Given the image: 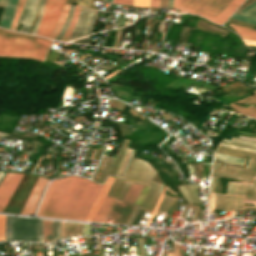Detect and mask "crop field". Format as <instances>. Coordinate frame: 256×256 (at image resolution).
Listing matches in <instances>:
<instances>
[{"label":"crop field","instance_id":"8a807250","mask_svg":"<svg viewBox=\"0 0 256 256\" xmlns=\"http://www.w3.org/2000/svg\"><path fill=\"white\" fill-rule=\"evenodd\" d=\"M100 187L82 177L53 180L37 216L84 220Z\"/></svg>","mask_w":256,"mask_h":256},{"label":"crop field","instance_id":"ac0d7876","mask_svg":"<svg viewBox=\"0 0 256 256\" xmlns=\"http://www.w3.org/2000/svg\"><path fill=\"white\" fill-rule=\"evenodd\" d=\"M51 40L0 29V55L25 56L43 60Z\"/></svg>","mask_w":256,"mask_h":256},{"label":"crop field","instance_id":"34b2d1b8","mask_svg":"<svg viewBox=\"0 0 256 256\" xmlns=\"http://www.w3.org/2000/svg\"><path fill=\"white\" fill-rule=\"evenodd\" d=\"M243 0H174L173 7L222 24Z\"/></svg>","mask_w":256,"mask_h":256},{"label":"crop field","instance_id":"412701ff","mask_svg":"<svg viewBox=\"0 0 256 256\" xmlns=\"http://www.w3.org/2000/svg\"><path fill=\"white\" fill-rule=\"evenodd\" d=\"M42 223L43 220L6 216L4 240L43 242Z\"/></svg>","mask_w":256,"mask_h":256},{"label":"crop field","instance_id":"f4fd0767","mask_svg":"<svg viewBox=\"0 0 256 256\" xmlns=\"http://www.w3.org/2000/svg\"><path fill=\"white\" fill-rule=\"evenodd\" d=\"M65 0H47L37 35L49 38L61 13Z\"/></svg>","mask_w":256,"mask_h":256},{"label":"crop field","instance_id":"dd49c442","mask_svg":"<svg viewBox=\"0 0 256 256\" xmlns=\"http://www.w3.org/2000/svg\"><path fill=\"white\" fill-rule=\"evenodd\" d=\"M142 185L132 183L128 193L126 194L122 203L116 202L113 204L111 210L106 216L104 223L106 222L108 217L116 219L114 223L122 224L124 218L129 212L137 194L142 189ZM109 219V218H108Z\"/></svg>","mask_w":256,"mask_h":256},{"label":"crop field","instance_id":"e52e79f7","mask_svg":"<svg viewBox=\"0 0 256 256\" xmlns=\"http://www.w3.org/2000/svg\"><path fill=\"white\" fill-rule=\"evenodd\" d=\"M22 176L23 174L6 173L0 184V212H2L4 206L10 199Z\"/></svg>","mask_w":256,"mask_h":256},{"label":"crop field","instance_id":"d8731c3e","mask_svg":"<svg viewBox=\"0 0 256 256\" xmlns=\"http://www.w3.org/2000/svg\"><path fill=\"white\" fill-rule=\"evenodd\" d=\"M48 182V179L38 177L22 211L20 214H31L33 215L35 208L38 204L40 196Z\"/></svg>","mask_w":256,"mask_h":256},{"label":"crop field","instance_id":"5a996713","mask_svg":"<svg viewBox=\"0 0 256 256\" xmlns=\"http://www.w3.org/2000/svg\"><path fill=\"white\" fill-rule=\"evenodd\" d=\"M139 163H140V160L132 159V161H131V163H130V165H129V169L136 171V169H137ZM141 164H142V161H141L139 167L141 166ZM144 165H145V163L143 162V164H142V166L140 167V169H139V167H138L139 171H138V169H137V171H138V172L136 171L137 174H136V172H133V171H129V170H128V171H127V174H126V176H125L124 179H125V180H128V181H132L133 177H134L135 174H136V176H135L134 179H133V182H136V180H137V178H138L140 172L142 171ZM147 165H148V164L146 163V165H145V167H144L142 173H143L144 170L146 169ZM150 170H151V167L148 165V167H147V169L145 170L144 174H143V175H142V173L140 174L139 178L141 177V175H142V177L140 178V180H139V178H138L139 183H142V184H143V182H144V180L146 179V177H147L148 173L150 172ZM154 171H155V170L152 168V170H151V172L149 173V175H148L147 179L145 180L144 184L148 185V183H149V181H150V179H151V177H152ZM138 180H137V182H138Z\"/></svg>","mask_w":256,"mask_h":256},{"label":"crop field","instance_id":"3316defc","mask_svg":"<svg viewBox=\"0 0 256 256\" xmlns=\"http://www.w3.org/2000/svg\"><path fill=\"white\" fill-rule=\"evenodd\" d=\"M236 185H237V182H228L227 194L235 195ZM246 185L247 183H243V186H242V183L238 182L236 195H240L241 186H242L241 195L244 196ZM233 199H234V196L228 195L226 211H232ZM243 203H244V197L235 196L233 209L243 210Z\"/></svg>","mask_w":256,"mask_h":256},{"label":"crop field","instance_id":"28ad6ade","mask_svg":"<svg viewBox=\"0 0 256 256\" xmlns=\"http://www.w3.org/2000/svg\"><path fill=\"white\" fill-rule=\"evenodd\" d=\"M113 179L114 178H112V177H108L106 183L102 186L101 190L99 191V193H98L92 207L90 208L85 220L91 221L95 211L97 210V208L100 205L101 201L103 200L106 192L108 191Z\"/></svg>","mask_w":256,"mask_h":256},{"label":"crop field","instance_id":"d1516ede","mask_svg":"<svg viewBox=\"0 0 256 256\" xmlns=\"http://www.w3.org/2000/svg\"><path fill=\"white\" fill-rule=\"evenodd\" d=\"M17 3H18V0H7L6 6L3 12V16L0 22L1 26L10 28Z\"/></svg>","mask_w":256,"mask_h":256},{"label":"crop field","instance_id":"22f410ed","mask_svg":"<svg viewBox=\"0 0 256 256\" xmlns=\"http://www.w3.org/2000/svg\"><path fill=\"white\" fill-rule=\"evenodd\" d=\"M114 200H115L114 198L105 197L104 201L102 202V204L96 211L92 221L103 222V220H104L107 212L109 211Z\"/></svg>","mask_w":256,"mask_h":256},{"label":"crop field","instance_id":"cbeb9de0","mask_svg":"<svg viewBox=\"0 0 256 256\" xmlns=\"http://www.w3.org/2000/svg\"><path fill=\"white\" fill-rule=\"evenodd\" d=\"M224 148H225V147H224ZM224 148L218 147L217 149H218V150H222V151H226V152H230V153H234V154H239V155H243V156H249V157L256 158V156H252V155H256V154H252V153L240 151V152L252 154V155H248V154H243V153H239V152L232 151V150H234V149L228 150V149H230V148H228V149H224ZM218 150H216L217 153L227 154V155L236 156V157H241V158H245V159H246V157H243V156L234 155V154H230V153H226V152H222V151H218ZM236 151H239V150H236ZM217 153H215L214 155L220 156V157H225V158L232 159V160H236V161H242V162H245V161H246V160H244V159L235 158V157H230V156L221 155V154H217Z\"/></svg>","mask_w":256,"mask_h":256},{"label":"crop field","instance_id":"5142ce71","mask_svg":"<svg viewBox=\"0 0 256 256\" xmlns=\"http://www.w3.org/2000/svg\"><path fill=\"white\" fill-rule=\"evenodd\" d=\"M185 187H186V189H187V191H188V193H189V195H190V197L192 198V200H193L194 203H196L195 198H196V200H197L198 203H202L201 200H200V198L198 197L196 185H189V187H190V189L192 190V192H193L195 198H194V196H193L191 190L189 189L188 185H185ZM185 187H184V186H180L179 189H180L181 193L183 194L184 198L186 199V201H187L188 203H192V201H191V199H190V197H189V195H188V193H187Z\"/></svg>","mask_w":256,"mask_h":256},{"label":"crop field","instance_id":"d9b57169","mask_svg":"<svg viewBox=\"0 0 256 256\" xmlns=\"http://www.w3.org/2000/svg\"><path fill=\"white\" fill-rule=\"evenodd\" d=\"M69 6L70 5H64V8L62 10V13L59 17V20L50 36V39H55V37L57 36V34L60 32L61 28H62V25L67 17V13H68V10H69Z\"/></svg>","mask_w":256,"mask_h":256},{"label":"crop field","instance_id":"733c2abd","mask_svg":"<svg viewBox=\"0 0 256 256\" xmlns=\"http://www.w3.org/2000/svg\"><path fill=\"white\" fill-rule=\"evenodd\" d=\"M231 26L236 31V33L241 36V38L256 41V31L255 30H251V29H247V28H243V27H239V26H235V25H231Z\"/></svg>","mask_w":256,"mask_h":256},{"label":"crop field","instance_id":"4a817a6b","mask_svg":"<svg viewBox=\"0 0 256 256\" xmlns=\"http://www.w3.org/2000/svg\"><path fill=\"white\" fill-rule=\"evenodd\" d=\"M80 8L81 7H78V6L75 7V11H74V14H73L71 24L68 27L64 36L61 38L62 41H67L69 39L71 33L73 32V30L75 28V25H76V22H77V19H78V16H79Z\"/></svg>","mask_w":256,"mask_h":256},{"label":"crop field","instance_id":"bc2a9ffb","mask_svg":"<svg viewBox=\"0 0 256 256\" xmlns=\"http://www.w3.org/2000/svg\"><path fill=\"white\" fill-rule=\"evenodd\" d=\"M127 143H128V140L124 139V141H123V143H122V145H121V147H120V149H119V151H118V153H117V155H116V157L113 161L112 167H111V169L108 173L109 175H114V173L117 169V165H118V163H119V161H120V159H121V157H122V155L125 151Z\"/></svg>","mask_w":256,"mask_h":256},{"label":"crop field","instance_id":"214f88e0","mask_svg":"<svg viewBox=\"0 0 256 256\" xmlns=\"http://www.w3.org/2000/svg\"><path fill=\"white\" fill-rule=\"evenodd\" d=\"M223 167H225V168H230V169H235V170H240V171L243 170L242 168L231 167V166H225V165H223ZM225 168H223L222 170H227V171H231V172H235V173H239V174H243V175H247V176L256 178L255 176H252V175H249V174H245V173H242V172H239V171L230 170V169H225ZM212 171L221 172V173H227V174H233V175H239V174H235V173H231V172H227V171H219V170H214V169H212ZM243 171H244V172H247V173H250V174H253V175H256V172H254V171L245 170V169H244ZM243 175H239V176H243ZM244 177H246V176H244ZM250 177H249V178H250ZM254 178H253V179H254Z\"/></svg>","mask_w":256,"mask_h":256},{"label":"crop field","instance_id":"92a150f3","mask_svg":"<svg viewBox=\"0 0 256 256\" xmlns=\"http://www.w3.org/2000/svg\"><path fill=\"white\" fill-rule=\"evenodd\" d=\"M43 240L49 242L53 240L52 236V221L44 220L43 223Z\"/></svg>","mask_w":256,"mask_h":256},{"label":"crop field","instance_id":"dafd665d","mask_svg":"<svg viewBox=\"0 0 256 256\" xmlns=\"http://www.w3.org/2000/svg\"><path fill=\"white\" fill-rule=\"evenodd\" d=\"M149 186H150V188L147 191V193H146V195H145V197H144V199H143V201L140 205V208H142V209L146 208V206H147V204H148V202H149V200H150V198H151V196H152V194H153V192H154V190L157 186V183H154V182L151 181Z\"/></svg>","mask_w":256,"mask_h":256},{"label":"crop field","instance_id":"00972430","mask_svg":"<svg viewBox=\"0 0 256 256\" xmlns=\"http://www.w3.org/2000/svg\"><path fill=\"white\" fill-rule=\"evenodd\" d=\"M227 195L216 194L215 209L225 210Z\"/></svg>","mask_w":256,"mask_h":256},{"label":"crop field","instance_id":"a9b5d70f","mask_svg":"<svg viewBox=\"0 0 256 256\" xmlns=\"http://www.w3.org/2000/svg\"><path fill=\"white\" fill-rule=\"evenodd\" d=\"M24 2H25V0H19V4H18L17 10H16V14H15V17H14V20H13L12 27H11L12 30H15V28L18 24L20 14H21V11H22L23 6H24Z\"/></svg>","mask_w":256,"mask_h":256},{"label":"crop field","instance_id":"4177f3b9","mask_svg":"<svg viewBox=\"0 0 256 256\" xmlns=\"http://www.w3.org/2000/svg\"><path fill=\"white\" fill-rule=\"evenodd\" d=\"M162 189H163V187L159 185L155 194H154V196H153V198H152V200H151V202H150V204H149V206H148V208H147V210L152 211V209H153V207H154Z\"/></svg>","mask_w":256,"mask_h":256},{"label":"crop field","instance_id":"730fd06b","mask_svg":"<svg viewBox=\"0 0 256 256\" xmlns=\"http://www.w3.org/2000/svg\"><path fill=\"white\" fill-rule=\"evenodd\" d=\"M116 181H117V179L115 178V180H114V182H113V184H112V186H111V188H110V190H109L107 196L110 195V193H111V191H112V189H113V187H114ZM120 181H121V180H118V182H117V184H116V186H115V188H114V190H113V192H112V194H111V197H112L113 193L115 192V190L117 189V187H118ZM123 184H124V182L122 181L121 184L119 185L118 189L116 190L115 194L113 195L114 198H116V196H117V194L119 193L120 189L122 188Z\"/></svg>","mask_w":256,"mask_h":256},{"label":"crop field","instance_id":"eef30255","mask_svg":"<svg viewBox=\"0 0 256 256\" xmlns=\"http://www.w3.org/2000/svg\"><path fill=\"white\" fill-rule=\"evenodd\" d=\"M166 198H167V196L164 195V197H163V199H162V201H161V203H160V205H159L157 211H161V208H162V206H163V204H164ZM171 200H172L171 198H169V197L167 198V200H166V202H165V204H164V206H163L161 212H163V213L166 212V210H167V208H168V206H169Z\"/></svg>","mask_w":256,"mask_h":256},{"label":"crop field","instance_id":"ae1a2a85","mask_svg":"<svg viewBox=\"0 0 256 256\" xmlns=\"http://www.w3.org/2000/svg\"><path fill=\"white\" fill-rule=\"evenodd\" d=\"M137 210H138V207L132 206V208H131V210H130V212H129V214H128L125 222H124V224L130 225V223H131L133 217L135 216Z\"/></svg>","mask_w":256,"mask_h":256},{"label":"crop field","instance_id":"d3111659","mask_svg":"<svg viewBox=\"0 0 256 256\" xmlns=\"http://www.w3.org/2000/svg\"><path fill=\"white\" fill-rule=\"evenodd\" d=\"M231 18L238 19V20H241V21H244V22H247V23H251V24L256 25V20H255V19H252V18H248V17L236 15V14H233V15L231 16Z\"/></svg>","mask_w":256,"mask_h":256},{"label":"crop field","instance_id":"750c4746","mask_svg":"<svg viewBox=\"0 0 256 256\" xmlns=\"http://www.w3.org/2000/svg\"><path fill=\"white\" fill-rule=\"evenodd\" d=\"M59 224H60V222L53 221V236H54V240L60 238Z\"/></svg>","mask_w":256,"mask_h":256},{"label":"crop field","instance_id":"bd1437ed","mask_svg":"<svg viewBox=\"0 0 256 256\" xmlns=\"http://www.w3.org/2000/svg\"><path fill=\"white\" fill-rule=\"evenodd\" d=\"M150 0H134L133 6L149 7Z\"/></svg>","mask_w":256,"mask_h":256},{"label":"crop field","instance_id":"1d83c4d3","mask_svg":"<svg viewBox=\"0 0 256 256\" xmlns=\"http://www.w3.org/2000/svg\"><path fill=\"white\" fill-rule=\"evenodd\" d=\"M233 140H235V139H233ZM233 140L229 141V140L223 139L224 142L235 143V144H240V145H244V146L256 148V145H255L256 143H255V144H250V143H252V142H250V143H244V142H247V141L239 142V141H241V140H239V141H233Z\"/></svg>","mask_w":256,"mask_h":256},{"label":"crop field","instance_id":"120bbe31","mask_svg":"<svg viewBox=\"0 0 256 256\" xmlns=\"http://www.w3.org/2000/svg\"><path fill=\"white\" fill-rule=\"evenodd\" d=\"M114 159V158H113ZM113 159H112V161H113ZM112 161H111V163H110V165H109V167H108V169L107 170H105V169H103L102 170V172H101V174H100V176H99V179H98V183H103L104 182V180H105V178H106V175H107V173H108V171H109V168H110V166H111V164H112Z\"/></svg>","mask_w":256,"mask_h":256},{"label":"crop field","instance_id":"d32e631a","mask_svg":"<svg viewBox=\"0 0 256 256\" xmlns=\"http://www.w3.org/2000/svg\"><path fill=\"white\" fill-rule=\"evenodd\" d=\"M127 184H128V183H127V182H125V184H124V186H123V188H122V190H121V192H120V194H119L118 198L116 199V201H118V200H119V198H120L121 194L123 193V191H124L125 187L127 186ZM130 185H131V183H129V185L126 187V189H125L124 193L122 194V196H121V198H120V200H119L120 202H122V200H123V198H124V196H125L126 192L128 191V189H129Z\"/></svg>","mask_w":256,"mask_h":256},{"label":"crop field","instance_id":"5866460e","mask_svg":"<svg viewBox=\"0 0 256 256\" xmlns=\"http://www.w3.org/2000/svg\"><path fill=\"white\" fill-rule=\"evenodd\" d=\"M132 154H133V150L131 151V153L128 155V157H127V160H126V163H125V166H124V168H123V171H122V174H121V178H124V175H125V173H126V170H127V167H128V164H129V162H130V160H131V156H132Z\"/></svg>","mask_w":256,"mask_h":256},{"label":"crop field","instance_id":"028f5c9d","mask_svg":"<svg viewBox=\"0 0 256 256\" xmlns=\"http://www.w3.org/2000/svg\"><path fill=\"white\" fill-rule=\"evenodd\" d=\"M4 218L5 216H0V241L3 240Z\"/></svg>","mask_w":256,"mask_h":256},{"label":"crop field","instance_id":"e1f06a70","mask_svg":"<svg viewBox=\"0 0 256 256\" xmlns=\"http://www.w3.org/2000/svg\"><path fill=\"white\" fill-rule=\"evenodd\" d=\"M249 161L256 163V160H254V159H249ZM245 168L256 171V164L249 162Z\"/></svg>","mask_w":256,"mask_h":256},{"label":"crop field","instance_id":"0bd39190","mask_svg":"<svg viewBox=\"0 0 256 256\" xmlns=\"http://www.w3.org/2000/svg\"><path fill=\"white\" fill-rule=\"evenodd\" d=\"M138 242H139V253H140V256H144L143 238H138Z\"/></svg>","mask_w":256,"mask_h":256},{"label":"crop field","instance_id":"b80d0937","mask_svg":"<svg viewBox=\"0 0 256 256\" xmlns=\"http://www.w3.org/2000/svg\"><path fill=\"white\" fill-rule=\"evenodd\" d=\"M133 0H114V3H119V4H128L132 6Z\"/></svg>","mask_w":256,"mask_h":256},{"label":"crop field","instance_id":"c035e120","mask_svg":"<svg viewBox=\"0 0 256 256\" xmlns=\"http://www.w3.org/2000/svg\"><path fill=\"white\" fill-rule=\"evenodd\" d=\"M254 188V184L248 183L245 195H250Z\"/></svg>","mask_w":256,"mask_h":256},{"label":"crop field","instance_id":"c21b1889","mask_svg":"<svg viewBox=\"0 0 256 256\" xmlns=\"http://www.w3.org/2000/svg\"><path fill=\"white\" fill-rule=\"evenodd\" d=\"M214 158L224 160L225 162H228V163H234V164H240V165L244 164V163H241V162H235V161L227 160V159L216 157V156Z\"/></svg>","mask_w":256,"mask_h":256},{"label":"crop field","instance_id":"03da06ac","mask_svg":"<svg viewBox=\"0 0 256 256\" xmlns=\"http://www.w3.org/2000/svg\"><path fill=\"white\" fill-rule=\"evenodd\" d=\"M256 5V1H254L253 3H251L249 6L243 8L240 10V12L244 13L245 11H247L248 9H250L251 7Z\"/></svg>","mask_w":256,"mask_h":256},{"label":"crop field","instance_id":"b54c1fbb","mask_svg":"<svg viewBox=\"0 0 256 256\" xmlns=\"http://www.w3.org/2000/svg\"><path fill=\"white\" fill-rule=\"evenodd\" d=\"M212 176H223V175H216V174H212ZM223 177H227V178H233V177H229V176H223ZM233 179H235V180H239V181H243V182H251V183H253L252 181H247V180H243V179H239V178H233Z\"/></svg>","mask_w":256,"mask_h":256},{"label":"crop field","instance_id":"5d738f31","mask_svg":"<svg viewBox=\"0 0 256 256\" xmlns=\"http://www.w3.org/2000/svg\"><path fill=\"white\" fill-rule=\"evenodd\" d=\"M127 151H128V148L126 149V151H125V153H124V155H123V158H122V160H121V163H120V165H119V168H118V170H117L115 176H117V174H118V172H119V169H120V167H121V165H122L123 159H124V157H125ZM130 151H131V150H130ZM124 163H125V162H124ZM122 168H123V167H122ZM121 171H122V169H121ZM121 171H120V173H121ZM120 173H119L118 176H120Z\"/></svg>","mask_w":256,"mask_h":256},{"label":"crop field","instance_id":"d23c7cc5","mask_svg":"<svg viewBox=\"0 0 256 256\" xmlns=\"http://www.w3.org/2000/svg\"><path fill=\"white\" fill-rule=\"evenodd\" d=\"M222 164L218 162H213L212 168L221 170Z\"/></svg>","mask_w":256,"mask_h":256},{"label":"crop field","instance_id":"425ffa30","mask_svg":"<svg viewBox=\"0 0 256 256\" xmlns=\"http://www.w3.org/2000/svg\"><path fill=\"white\" fill-rule=\"evenodd\" d=\"M159 0H151L150 7H158Z\"/></svg>","mask_w":256,"mask_h":256},{"label":"crop field","instance_id":"25e5ab78","mask_svg":"<svg viewBox=\"0 0 256 256\" xmlns=\"http://www.w3.org/2000/svg\"><path fill=\"white\" fill-rule=\"evenodd\" d=\"M215 177H212L210 190L214 191Z\"/></svg>","mask_w":256,"mask_h":256},{"label":"crop field","instance_id":"73cf0c24","mask_svg":"<svg viewBox=\"0 0 256 256\" xmlns=\"http://www.w3.org/2000/svg\"><path fill=\"white\" fill-rule=\"evenodd\" d=\"M243 40H244V39H243ZM244 42H245L246 44L256 45V42H255V41L244 40Z\"/></svg>","mask_w":256,"mask_h":256},{"label":"crop field","instance_id":"89e229c0","mask_svg":"<svg viewBox=\"0 0 256 256\" xmlns=\"http://www.w3.org/2000/svg\"><path fill=\"white\" fill-rule=\"evenodd\" d=\"M219 145H220V146H225V147L234 148V147L227 146V145H222V144H219ZM234 149H238V148H234ZM239 150H243V149H239ZM244 151H248V150H244ZM249 152H253V151H249ZM253 153H256V152H253Z\"/></svg>","mask_w":256,"mask_h":256},{"label":"crop field","instance_id":"1f2cbd36","mask_svg":"<svg viewBox=\"0 0 256 256\" xmlns=\"http://www.w3.org/2000/svg\"><path fill=\"white\" fill-rule=\"evenodd\" d=\"M196 211H197V206L195 205V208H194V216H193V221H195V219H196Z\"/></svg>","mask_w":256,"mask_h":256},{"label":"crop field","instance_id":"dbb93151","mask_svg":"<svg viewBox=\"0 0 256 256\" xmlns=\"http://www.w3.org/2000/svg\"><path fill=\"white\" fill-rule=\"evenodd\" d=\"M172 4H173V0H168L167 7H172Z\"/></svg>","mask_w":256,"mask_h":256},{"label":"crop field","instance_id":"0fb4a251","mask_svg":"<svg viewBox=\"0 0 256 256\" xmlns=\"http://www.w3.org/2000/svg\"><path fill=\"white\" fill-rule=\"evenodd\" d=\"M246 200L256 201V197H246Z\"/></svg>","mask_w":256,"mask_h":256},{"label":"crop field","instance_id":"1d79db26","mask_svg":"<svg viewBox=\"0 0 256 256\" xmlns=\"http://www.w3.org/2000/svg\"><path fill=\"white\" fill-rule=\"evenodd\" d=\"M214 161H219V160H215L214 159ZM220 162H222V161H220ZM225 165H231V166H237V167H243V166H240V165H234V164H228V163H224Z\"/></svg>","mask_w":256,"mask_h":256},{"label":"crop field","instance_id":"9d1cf04e","mask_svg":"<svg viewBox=\"0 0 256 256\" xmlns=\"http://www.w3.org/2000/svg\"><path fill=\"white\" fill-rule=\"evenodd\" d=\"M239 138H244V139H249V140H253V141H256V138H247V137H241L238 135Z\"/></svg>","mask_w":256,"mask_h":256},{"label":"crop field","instance_id":"447ae74e","mask_svg":"<svg viewBox=\"0 0 256 256\" xmlns=\"http://www.w3.org/2000/svg\"><path fill=\"white\" fill-rule=\"evenodd\" d=\"M187 207H188V206H186V205L184 206V209H183V212H182V215H181V216H184V215H185V212H186V210H187Z\"/></svg>","mask_w":256,"mask_h":256},{"label":"crop field","instance_id":"0765c3eb","mask_svg":"<svg viewBox=\"0 0 256 256\" xmlns=\"http://www.w3.org/2000/svg\"><path fill=\"white\" fill-rule=\"evenodd\" d=\"M228 144V143H227ZM231 145H234V144H231ZM236 146H240V145H236ZM235 146V147H236ZM241 147H244V146H241ZM241 147H239V148H241ZM246 148H248V147H246ZM243 149H245V148H243ZM250 149H252V148H250ZM250 149H248V150H250ZM256 150V149H255ZM255 150H253V151H255Z\"/></svg>","mask_w":256,"mask_h":256},{"label":"crop field","instance_id":"db79e9e6","mask_svg":"<svg viewBox=\"0 0 256 256\" xmlns=\"http://www.w3.org/2000/svg\"><path fill=\"white\" fill-rule=\"evenodd\" d=\"M244 208H256L254 206H245Z\"/></svg>","mask_w":256,"mask_h":256},{"label":"crop field","instance_id":"7b73153f","mask_svg":"<svg viewBox=\"0 0 256 256\" xmlns=\"http://www.w3.org/2000/svg\"><path fill=\"white\" fill-rule=\"evenodd\" d=\"M252 196H256V188H255V191H254V193H253V195Z\"/></svg>","mask_w":256,"mask_h":256},{"label":"crop field","instance_id":"78b8030e","mask_svg":"<svg viewBox=\"0 0 256 256\" xmlns=\"http://www.w3.org/2000/svg\"><path fill=\"white\" fill-rule=\"evenodd\" d=\"M244 210H250V211H255L256 209H244Z\"/></svg>","mask_w":256,"mask_h":256},{"label":"crop field","instance_id":"0f1d7ab4","mask_svg":"<svg viewBox=\"0 0 256 256\" xmlns=\"http://www.w3.org/2000/svg\"><path fill=\"white\" fill-rule=\"evenodd\" d=\"M106 2H108V3H112V0H106Z\"/></svg>","mask_w":256,"mask_h":256},{"label":"crop field","instance_id":"e1d0b9f6","mask_svg":"<svg viewBox=\"0 0 256 256\" xmlns=\"http://www.w3.org/2000/svg\"><path fill=\"white\" fill-rule=\"evenodd\" d=\"M233 138H235V137H233ZM235 139H238V138H235ZM242 140H244V139H242ZM247 141H249V140H247Z\"/></svg>","mask_w":256,"mask_h":256},{"label":"crop field","instance_id":"ae633e8c","mask_svg":"<svg viewBox=\"0 0 256 256\" xmlns=\"http://www.w3.org/2000/svg\"><path fill=\"white\" fill-rule=\"evenodd\" d=\"M101 1H105V0H101Z\"/></svg>","mask_w":256,"mask_h":256},{"label":"crop field","instance_id":"d14b1444","mask_svg":"<svg viewBox=\"0 0 256 256\" xmlns=\"http://www.w3.org/2000/svg\"><path fill=\"white\" fill-rule=\"evenodd\" d=\"M223 256H226V255H223Z\"/></svg>","mask_w":256,"mask_h":256},{"label":"crop field","instance_id":"c39391a2","mask_svg":"<svg viewBox=\"0 0 256 256\" xmlns=\"http://www.w3.org/2000/svg\"><path fill=\"white\" fill-rule=\"evenodd\" d=\"M255 255H256V253H255Z\"/></svg>","mask_w":256,"mask_h":256}]
</instances>
